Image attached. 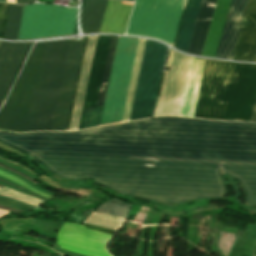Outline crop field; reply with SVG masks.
<instances>
[{
    "label": "crop field",
    "mask_w": 256,
    "mask_h": 256,
    "mask_svg": "<svg viewBox=\"0 0 256 256\" xmlns=\"http://www.w3.org/2000/svg\"><path fill=\"white\" fill-rule=\"evenodd\" d=\"M27 153L256 163V124L156 118L83 132L0 133Z\"/></svg>",
    "instance_id": "1"
},
{
    "label": "crop field",
    "mask_w": 256,
    "mask_h": 256,
    "mask_svg": "<svg viewBox=\"0 0 256 256\" xmlns=\"http://www.w3.org/2000/svg\"><path fill=\"white\" fill-rule=\"evenodd\" d=\"M56 175L94 182L131 196L179 203L196 198H222L220 172L239 180L245 205L256 206V165L141 158L30 154Z\"/></svg>",
    "instance_id": "2"
},
{
    "label": "crop field",
    "mask_w": 256,
    "mask_h": 256,
    "mask_svg": "<svg viewBox=\"0 0 256 256\" xmlns=\"http://www.w3.org/2000/svg\"><path fill=\"white\" fill-rule=\"evenodd\" d=\"M97 36L89 37L69 131L77 130ZM110 36H98L79 129L100 124L103 106L95 105ZM117 37L111 36L96 104L103 105ZM138 39L118 37L101 124L122 120Z\"/></svg>",
    "instance_id": "3"
},
{
    "label": "crop field",
    "mask_w": 256,
    "mask_h": 256,
    "mask_svg": "<svg viewBox=\"0 0 256 256\" xmlns=\"http://www.w3.org/2000/svg\"><path fill=\"white\" fill-rule=\"evenodd\" d=\"M69 42L34 45L0 112V127L51 131Z\"/></svg>",
    "instance_id": "4"
},
{
    "label": "crop field",
    "mask_w": 256,
    "mask_h": 256,
    "mask_svg": "<svg viewBox=\"0 0 256 256\" xmlns=\"http://www.w3.org/2000/svg\"><path fill=\"white\" fill-rule=\"evenodd\" d=\"M256 64L208 60L195 118L251 122Z\"/></svg>",
    "instance_id": "5"
},
{
    "label": "crop field",
    "mask_w": 256,
    "mask_h": 256,
    "mask_svg": "<svg viewBox=\"0 0 256 256\" xmlns=\"http://www.w3.org/2000/svg\"><path fill=\"white\" fill-rule=\"evenodd\" d=\"M185 0H136L126 34L173 44Z\"/></svg>",
    "instance_id": "6"
},
{
    "label": "crop field",
    "mask_w": 256,
    "mask_h": 256,
    "mask_svg": "<svg viewBox=\"0 0 256 256\" xmlns=\"http://www.w3.org/2000/svg\"><path fill=\"white\" fill-rule=\"evenodd\" d=\"M166 50L146 40L129 121L152 117Z\"/></svg>",
    "instance_id": "7"
},
{
    "label": "crop field",
    "mask_w": 256,
    "mask_h": 256,
    "mask_svg": "<svg viewBox=\"0 0 256 256\" xmlns=\"http://www.w3.org/2000/svg\"><path fill=\"white\" fill-rule=\"evenodd\" d=\"M76 12L61 6H24L18 39L73 34Z\"/></svg>",
    "instance_id": "8"
},
{
    "label": "crop field",
    "mask_w": 256,
    "mask_h": 256,
    "mask_svg": "<svg viewBox=\"0 0 256 256\" xmlns=\"http://www.w3.org/2000/svg\"><path fill=\"white\" fill-rule=\"evenodd\" d=\"M201 0H189L175 48L187 52ZM216 0H202L188 52L200 55Z\"/></svg>",
    "instance_id": "9"
},
{
    "label": "crop field",
    "mask_w": 256,
    "mask_h": 256,
    "mask_svg": "<svg viewBox=\"0 0 256 256\" xmlns=\"http://www.w3.org/2000/svg\"><path fill=\"white\" fill-rule=\"evenodd\" d=\"M71 40L52 131H66L83 45Z\"/></svg>",
    "instance_id": "10"
},
{
    "label": "crop field",
    "mask_w": 256,
    "mask_h": 256,
    "mask_svg": "<svg viewBox=\"0 0 256 256\" xmlns=\"http://www.w3.org/2000/svg\"><path fill=\"white\" fill-rule=\"evenodd\" d=\"M171 51H172V54L170 53L171 59L169 57L170 64L168 61L170 69H169V72H167V74L165 72L166 79L164 74L165 83L163 80L164 88L162 85L163 93L161 91L162 98L160 96L161 103L159 100L160 107L158 104L159 112L157 109V112H158L157 116H160V115H176L177 116L181 95H182V90H183V85H184L187 68L190 60V56L181 55L177 52H174L173 50ZM197 59H203V58H197Z\"/></svg>",
    "instance_id": "11"
},
{
    "label": "crop field",
    "mask_w": 256,
    "mask_h": 256,
    "mask_svg": "<svg viewBox=\"0 0 256 256\" xmlns=\"http://www.w3.org/2000/svg\"><path fill=\"white\" fill-rule=\"evenodd\" d=\"M31 43H0V106Z\"/></svg>",
    "instance_id": "12"
},
{
    "label": "crop field",
    "mask_w": 256,
    "mask_h": 256,
    "mask_svg": "<svg viewBox=\"0 0 256 256\" xmlns=\"http://www.w3.org/2000/svg\"><path fill=\"white\" fill-rule=\"evenodd\" d=\"M256 0H249L233 51V60L256 61Z\"/></svg>",
    "instance_id": "13"
},
{
    "label": "crop field",
    "mask_w": 256,
    "mask_h": 256,
    "mask_svg": "<svg viewBox=\"0 0 256 256\" xmlns=\"http://www.w3.org/2000/svg\"><path fill=\"white\" fill-rule=\"evenodd\" d=\"M247 2L248 0H232L215 57L231 58Z\"/></svg>",
    "instance_id": "14"
},
{
    "label": "crop field",
    "mask_w": 256,
    "mask_h": 256,
    "mask_svg": "<svg viewBox=\"0 0 256 256\" xmlns=\"http://www.w3.org/2000/svg\"><path fill=\"white\" fill-rule=\"evenodd\" d=\"M120 2L108 0L99 32L124 34L132 7L122 5Z\"/></svg>",
    "instance_id": "15"
},
{
    "label": "crop field",
    "mask_w": 256,
    "mask_h": 256,
    "mask_svg": "<svg viewBox=\"0 0 256 256\" xmlns=\"http://www.w3.org/2000/svg\"><path fill=\"white\" fill-rule=\"evenodd\" d=\"M106 4L107 0H86L81 17L83 33L99 31Z\"/></svg>",
    "instance_id": "16"
},
{
    "label": "crop field",
    "mask_w": 256,
    "mask_h": 256,
    "mask_svg": "<svg viewBox=\"0 0 256 256\" xmlns=\"http://www.w3.org/2000/svg\"><path fill=\"white\" fill-rule=\"evenodd\" d=\"M145 40L139 39L122 122L128 121Z\"/></svg>",
    "instance_id": "17"
},
{
    "label": "crop field",
    "mask_w": 256,
    "mask_h": 256,
    "mask_svg": "<svg viewBox=\"0 0 256 256\" xmlns=\"http://www.w3.org/2000/svg\"><path fill=\"white\" fill-rule=\"evenodd\" d=\"M22 8L10 5L3 39L17 40Z\"/></svg>",
    "instance_id": "18"
},
{
    "label": "crop field",
    "mask_w": 256,
    "mask_h": 256,
    "mask_svg": "<svg viewBox=\"0 0 256 256\" xmlns=\"http://www.w3.org/2000/svg\"><path fill=\"white\" fill-rule=\"evenodd\" d=\"M131 206V204L113 199L103 203L96 211L126 218Z\"/></svg>",
    "instance_id": "19"
},
{
    "label": "crop field",
    "mask_w": 256,
    "mask_h": 256,
    "mask_svg": "<svg viewBox=\"0 0 256 256\" xmlns=\"http://www.w3.org/2000/svg\"><path fill=\"white\" fill-rule=\"evenodd\" d=\"M123 220L124 219L116 218V217H112V216H108L100 213H92L85 222L117 230L118 227L122 224Z\"/></svg>",
    "instance_id": "20"
},
{
    "label": "crop field",
    "mask_w": 256,
    "mask_h": 256,
    "mask_svg": "<svg viewBox=\"0 0 256 256\" xmlns=\"http://www.w3.org/2000/svg\"><path fill=\"white\" fill-rule=\"evenodd\" d=\"M0 193L6 194V195H10V196H14V197H18V198L24 199L26 201L35 203L37 205L42 203V201H40L38 199H35L33 197H30V196H27L25 194H22L20 192L15 191V190L9 189L7 187H4L3 189L0 188Z\"/></svg>",
    "instance_id": "21"
},
{
    "label": "crop field",
    "mask_w": 256,
    "mask_h": 256,
    "mask_svg": "<svg viewBox=\"0 0 256 256\" xmlns=\"http://www.w3.org/2000/svg\"><path fill=\"white\" fill-rule=\"evenodd\" d=\"M0 175H2V176H4V177H6V178H8V179H10V180H12V181L18 183V184H20V185H22V186H24V187H26L27 189H29V190H31V191H33V192H35V193L41 194V195H43V196H45V197H47V198H50V197H51V196H49V195H47V194H45V193H43V192H41V191H39V190L33 188V187H31V186L28 185L27 183L21 181L20 179L14 177V176H12V175H10V174H8V173H5V172L0 171Z\"/></svg>",
    "instance_id": "22"
},
{
    "label": "crop field",
    "mask_w": 256,
    "mask_h": 256,
    "mask_svg": "<svg viewBox=\"0 0 256 256\" xmlns=\"http://www.w3.org/2000/svg\"><path fill=\"white\" fill-rule=\"evenodd\" d=\"M0 204L7 206V207L14 208V209L22 210V211H28V210L32 209V207H29V206H26L21 203L11 201V200H8L5 198H1V197H0Z\"/></svg>",
    "instance_id": "23"
},
{
    "label": "crop field",
    "mask_w": 256,
    "mask_h": 256,
    "mask_svg": "<svg viewBox=\"0 0 256 256\" xmlns=\"http://www.w3.org/2000/svg\"><path fill=\"white\" fill-rule=\"evenodd\" d=\"M86 228L88 229H92V230H96V231H100L103 233H107V234H114V230H110V229H106V228H102V227H98V226H94V225H90V224H86V223H82Z\"/></svg>",
    "instance_id": "24"
},
{
    "label": "crop field",
    "mask_w": 256,
    "mask_h": 256,
    "mask_svg": "<svg viewBox=\"0 0 256 256\" xmlns=\"http://www.w3.org/2000/svg\"><path fill=\"white\" fill-rule=\"evenodd\" d=\"M6 6H7V4H0V39H1V36H2Z\"/></svg>",
    "instance_id": "25"
},
{
    "label": "crop field",
    "mask_w": 256,
    "mask_h": 256,
    "mask_svg": "<svg viewBox=\"0 0 256 256\" xmlns=\"http://www.w3.org/2000/svg\"><path fill=\"white\" fill-rule=\"evenodd\" d=\"M0 167H3V168L8 169V170H10V171H13V172H15V173H17V174H19V175H21V176H23V177L27 178L28 180H30V181H32L33 183H35V184H36V181H34L33 179H31V178H29V177H27V176H25V175H23V174H21V173H18L19 171H18V172H16L17 170H16V171H14L15 169H14V170H12V169H10V168H8V167H6V166H4V165H1V164H0Z\"/></svg>",
    "instance_id": "26"
},
{
    "label": "crop field",
    "mask_w": 256,
    "mask_h": 256,
    "mask_svg": "<svg viewBox=\"0 0 256 256\" xmlns=\"http://www.w3.org/2000/svg\"><path fill=\"white\" fill-rule=\"evenodd\" d=\"M61 253L66 255V256H82V255L72 253V252H69V251H66V250H62V249H61Z\"/></svg>",
    "instance_id": "27"
},
{
    "label": "crop field",
    "mask_w": 256,
    "mask_h": 256,
    "mask_svg": "<svg viewBox=\"0 0 256 256\" xmlns=\"http://www.w3.org/2000/svg\"><path fill=\"white\" fill-rule=\"evenodd\" d=\"M35 2V0H18V4H27Z\"/></svg>",
    "instance_id": "28"
},
{
    "label": "crop field",
    "mask_w": 256,
    "mask_h": 256,
    "mask_svg": "<svg viewBox=\"0 0 256 256\" xmlns=\"http://www.w3.org/2000/svg\"><path fill=\"white\" fill-rule=\"evenodd\" d=\"M0 209L11 210V211H15V212H22V211L14 210V209L7 208V207L1 206V205H0Z\"/></svg>",
    "instance_id": "29"
},
{
    "label": "crop field",
    "mask_w": 256,
    "mask_h": 256,
    "mask_svg": "<svg viewBox=\"0 0 256 256\" xmlns=\"http://www.w3.org/2000/svg\"><path fill=\"white\" fill-rule=\"evenodd\" d=\"M0 157L1 158H3V159H5V157H3V156H1L0 155ZM6 160V159H5ZM11 162V161H10ZM13 163H15V164H18V165H20V166H22V167H24V168H26L25 166H23L22 164H20V163H18V162H13ZM26 169H28V168H26ZM29 170V169H28ZM29 171H31V170H29ZM32 172V171H31ZM33 174H35L34 172H32ZM36 175V174H35Z\"/></svg>",
    "instance_id": "30"
},
{
    "label": "crop field",
    "mask_w": 256,
    "mask_h": 256,
    "mask_svg": "<svg viewBox=\"0 0 256 256\" xmlns=\"http://www.w3.org/2000/svg\"><path fill=\"white\" fill-rule=\"evenodd\" d=\"M252 122H256V106H255V110H254V115H253V120Z\"/></svg>",
    "instance_id": "31"
},
{
    "label": "crop field",
    "mask_w": 256,
    "mask_h": 256,
    "mask_svg": "<svg viewBox=\"0 0 256 256\" xmlns=\"http://www.w3.org/2000/svg\"><path fill=\"white\" fill-rule=\"evenodd\" d=\"M3 195V194H2ZM6 196V195H5ZM8 197H10V196H8ZM11 198H14V197H11ZM14 199H17V200H20V199H18V198H14ZM20 201H23V200H20ZM23 202H25V201H23ZM25 203H27V202H25ZM29 204V203H28ZM32 205V204H31ZM34 206H36V205H34Z\"/></svg>",
    "instance_id": "32"
},
{
    "label": "crop field",
    "mask_w": 256,
    "mask_h": 256,
    "mask_svg": "<svg viewBox=\"0 0 256 256\" xmlns=\"http://www.w3.org/2000/svg\"><path fill=\"white\" fill-rule=\"evenodd\" d=\"M0 196H2V195H0ZM2 197H5V196H2ZM5 198H8V197H5ZM8 199H11V198H8ZM12 200H14V199H12ZM16 201V200H15ZM19 202V201H18ZM22 203V202H21ZM23 204H25V203H23ZM26 205H28V204H26ZM29 206H31V205H29ZM32 207H34V206H32Z\"/></svg>",
    "instance_id": "33"
},
{
    "label": "crop field",
    "mask_w": 256,
    "mask_h": 256,
    "mask_svg": "<svg viewBox=\"0 0 256 256\" xmlns=\"http://www.w3.org/2000/svg\"><path fill=\"white\" fill-rule=\"evenodd\" d=\"M2 181V180H1ZM7 183V182H6ZM9 184V183H8ZM12 185V184H11ZM14 186V185H13ZM16 187V186H15ZM21 189V188H20ZM23 190V189H22ZM28 192V191H27ZM30 193V192H29ZM32 194V193H31ZM35 195V194H34ZM37 196V195H36ZM39 197V196H38ZM42 198V197H41ZM44 199V198H43ZM46 200V199H45Z\"/></svg>",
    "instance_id": "34"
},
{
    "label": "crop field",
    "mask_w": 256,
    "mask_h": 256,
    "mask_svg": "<svg viewBox=\"0 0 256 256\" xmlns=\"http://www.w3.org/2000/svg\"><path fill=\"white\" fill-rule=\"evenodd\" d=\"M2 188V186H0Z\"/></svg>",
    "instance_id": "35"
}]
</instances>
